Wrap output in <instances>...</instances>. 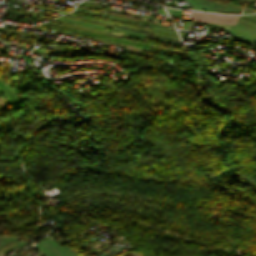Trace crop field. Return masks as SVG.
Returning a JSON list of instances; mask_svg holds the SVG:
<instances>
[{"instance_id":"obj_1","label":"crop field","mask_w":256,"mask_h":256,"mask_svg":"<svg viewBox=\"0 0 256 256\" xmlns=\"http://www.w3.org/2000/svg\"><path fill=\"white\" fill-rule=\"evenodd\" d=\"M237 17L192 11V19L217 24H234Z\"/></svg>"},{"instance_id":"obj_2","label":"crop field","mask_w":256,"mask_h":256,"mask_svg":"<svg viewBox=\"0 0 256 256\" xmlns=\"http://www.w3.org/2000/svg\"><path fill=\"white\" fill-rule=\"evenodd\" d=\"M48 23H49V24H53V23H50V22H48ZM49 24H47V25H49ZM53 25H56V24H53ZM53 25H51V26H53ZM57 26H59V25H57ZM57 26H54V27H57ZM62 27H64V26H62ZM57 28H61V27H57ZM66 28H68V27H66ZM66 28H61V29H65V30H69V31H73V32L81 33V34L89 33V34H93V35L100 36V37H105V38H111V39H117V40H123V41H128V42H130V40H126V39L114 38V37H107V36H103V35H99V34H94V33H90V32H85V31H82V32H85V33H82V32H78V31H81V30L74 31V30H76V29L70 30V29H72V28H70V29H66ZM89 34H85V35H89ZM93 35H89V36L96 37V36H93ZM100 37H96V38H99V39H100ZM102 39H103V40H108V41H114V42L124 43V42H122V41H116V40H110V39H104V38H102ZM128 42H125L124 44H126V45H132V46H135V47H141V48H148V47L142 46V45H139V44H144V45H148V46H149V44L140 43V42H134V41H132L133 43H139V44H133V43H128Z\"/></svg>"},{"instance_id":"obj_3","label":"crop field","mask_w":256,"mask_h":256,"mask_svg":"<svg viewBox=\"0 0 256 256\" xmlns=\"http://www.w3.org/2000/svg\"><path fill=\"white\" fill-rule=\"evenodd\" d=\"M54 20L65 22V23H69V24H72V25H78V26L84 27V28H89V29H94V30H99V31H105V30H100V29L92 28V27H89V26L77 24V23H74V22H70V21H66V20H62V19H58V18H56ZM105 32H107V31H105ZM113 33H115V34H122V35H128V36L137 37V38H141V39L144 38V36H142V35H138V34H135V33H132V32H126V31L114 30Z\"/></svg>"},{"instance_id":"obj_4","label":"crop field","mask_w":256,"mask_h":256,"mask_svg":"<svg viewBox=\"0 0 256 256\" xmlns=\"http://www.w3.org/2000/svg\"><path fill=\"white\" fill-rule=\"evenodd\" d=\"M72 14H76V15H80V16H84V17L96 19V20H99V21H102V22L115 23V22H112V21H106V20H102V19H98V18H94V17H90V16H86V15H82V14H78V13H74V12H72ZM116 24L131 26V25L122 24V23H118V22H116ZM131 27H135V28H138V29L147 30V29H145V28H140V27H136V26H133V25H132ZM148 31H149V30H148ZM151 32H153V31H151ZM155 33H157V32H155ZM159 34H161V33H159ZM163 35H164V34H163ZM168 35H169V34H168ZM171 36H173V35H171ZM176 37H177V36H176Z\"/></svg>"},{"instance_id":"obj_5","label":"crop field","mask_w":256,"mask_h":256,"mask_svg":"<svg viewBox=\"0 0 256 256\" xmlns=\"http://www.w3.org/2000/svg\"><path fill=\"white\" fill-rule=\"evenodd\" d=\"M0 84H1L3 87H5V88L11 93V95L14 97V99H15L17 102H19L18 99L14 96L13 92L4 84L3 81L0 80ZM7 90H6V91H7ZM8 91H7V92H8ZM9 92H8V93H9ZM10 93H9V96H10L11 100H12L14 103H17V102L13 99V97L10 95Z\"/></svg>"},{"instance_id":"obj_6","label":"crop field","mask_w":256,"mask_h":256,"mask_svg":"<svg viewBox=\"0 0 256 256\" xmlns=\"http://www.w3.org/2000/svg\"><path fill=\"white\" fill-rule=\"evenodd\" d=\"M154 30L160 31V32H164V33H169V34H173V35H177L176 32L174 31H170L167 29H163V28H159V27H153Z\"/></svg>"},{"instance_id":"obj_7","label":"crop field","mask_w":256,"mask_h":256,"mask_svg":"<svg viewBox=\"0 0 256 256\" xmlns=\"http://www.w3.org/2000/svg\"><path fill=\"white\" fill-rule=\"evenodd\" d=\"M62 17H67V18H71V19H76V20H81V21H85V22H90V21H87V20H84V19H78V18H73V17H69V16H62ZM90 23H93V22H90ZM95 24H97V23H95ZM99 25H101V24H99ZM103 26H105V25H103ZM107 27H111V26H107ZM111 28H113V27H111Z\"/></svg>"},{"instance_id":"obj_8","label":"crop field","mask_w":256,"mask_h":256,"mask_svg":"<svg viewBox=\"0 0 256 256\" xmlns=\"http://www.w3.org/2000/svg\"><path fill=\"white\" fill-rule=\"evenodd\" d=\"M16 244H18V243H17V242H14V243H11V244L7 245L6 247H4L3 249L0 250V253H1L2 251H4V250H6V249H8V248H10V247H12V246H14V245H16Z\"/></svg>"},{"instance_id":"obj_9","label":"crop field","mask_w":256,"mask_h":256,"mask_svg":"<svg viewBox=\"0 0 256 256\" xmlns=\"http://www.w3.org/2000/svg\"><path fill=\"white\" fill-rule=\"evenodd\" d=\"M79 8V7H78ZM83 9V8H82ZM87 10V9H86ZM89 11H91V10H89ZM93 12H95V11H93ZM99 13V12H98ZM101 14H105V13H101ZM105 15H109V14H105ZM109 16H113V17H115L114 15H109ZM118 17V16H117ZM118 18H122V17H118ZM124 19H126V18H124ZM133 21H135V20H133ZM136 22H140V21H136ZM145 23V22H144ZM149 24V23H148ZM151 25H153V24H151ZM156 26H159V25H156ZM175 31V30H174Z\"/></svg>"},{"instance_id":"obj_10","label":"crop field","mask_w":256,"mask_h":256,"mask_svg":"<svg viewBox=\"0 0 256 256\" xmlns=\"http://www.w3.org/2000/svg\"><path fill=\"white\" fill-rule=\"evenodd\" d=\"M14 12H18V13H22V14H26V15H30V16H34V17H36V15H32V14H28V13H23V12H19V11H15V10H13ZM39 17H41V16H39ZM45 18V17H44ZM48 19H50V18H48Z\"/></svg>"},{"instance_id":"obj_11","label":"crop field","mask_w":256,"mask_h":256,"mask_svg":"<svg viewBox=\"0 0 256 256\" xmlns=\"http://www.w3.org/2000/svg\"><path fill=\"white\" fill-rule=\"evenodd\" d=\"M240 18L245 19V20H248V21L253 22V23H256V21L251 20V19H248V18H245V17H243V16H240Z\"/></svg>"},{"instance_id":"obj_12","label":"crop field","mask_w":256,"mask_h":256,"mask_svg":"<svg viewBox=\"0 0 256 256\" xmlns=\"http://www.w3.org/2000/svg\"><path fill=\"white\" fill-rule=\"evenodd\" d=\"M84 3H89V4H93V5H98V6H102V7H107V6H103V5H99V4H95V3H90V2H86V1H83ZM109 8V7H107Z\"/></svg>"},{"instance_id":"obj_13","label":"crop field","mask_w":256,"mask_h":256,"mask_svg":"<svg viewBox=\"0 0 256 256\" xmlns=\"http://www.w3.org/2000/svg\"><path fill=\"white\" fill-rule=\"evenodd\" d=\"M1 89V88H0ZM2 90V89H1ZM2 92H3V90H2ZM3 94H4V96H5V98L7 99V97H6V95H5V93L3 92ZM7 101H8V99H7ZM10 104H11V102H10ZM12 105V104H11Z\"/></svg>"},{"instance_id":"obj_14","label":"crop field","mask_w":256,"mask_h":256,"mask_svg":"<svg viewBox=\"0 0 256 256\" xmlns=\"http://www.w3.org/2000/svg\"><path fill=\"white\" fill-rule=\"evenodd\" d=\"M65 24V23H64ZM66 25H69V24H66ZM69 26H72V25H69ZM76 27V26H75ZM89 30V29H88ZM94 31V30H93ZM99 32V31H98ZM103 33H105V32H103ZM107 34H109V33H107Z\"/></svg>"},{"instance_id":"obj_15","label":"crop field","mask_w":256,"mask_h":256,"mask_svg":"<svg viewBox=\"0 0 256 256\" xmlns=\"http://www.w3.org/2000/svg\"><path fill=\"white\" fill-rule=\"evenodd\" d=\"M1 86V85H0ZM2 87V86H1ZM3 88V87H2ZM4 89V88H3ZM5 90V89H4ZM6 92V91H5ZM6 94H7V92H6ZM7 96H8V94H7ZM8 98H9V96H8ZM10 100V99H9ZM11 101V100H10Z\"/></svg>"},{"instance_id":"obj_16","label":"crop field","mask_w":256,"mask_h":256,"mask_svg":"<svg viewBox=\"0 0 256 256\" xmlns=\"http://www.w3.org/2000/svg\"><path fill=\"white\" fill-rule=\"evenodd\" d=\"M51 9H53V8H51ZM53 10H58V9H53ZM59 11H62V10H59ZM67 12V11H66Z\"/></svg>"},{"instance_id":"obj_17","label":"crop field","mask_w":256,"mask_h":256,"mask_svg":"<svg viewBox=\"0 0 256 256\" xmlns=\"http://www.w3.org/2000/svg\"><path fill=\"white\" fill-rule=\"evenodd\" d=\"M65 26V25H64ZM78 29V28H77ZM83 30V29H82ZM87 31V30H86ZM104 35V34H103ZM107 36H109V35H107Z\"/></svg>"},{"instance_id":"obj_18","label":"crop field","mask_w":256,"mask_h":256,"mask_svg":"<svg viewBox=\"0 0 256 256\" xmlns=\"http://www.w3.org/2000/svg\"><path fill=\"white\" fill-rule=\"evenodd\" d=\"M254 6H256V3L254 4Z\"/></svg>"},{"instance_id":"obj_19","label":"crop field","mask_w":256,"mask_h":256,"mask_svg":"<svg viewBox=\"0 0 256 256\" xmlns=\"http://www.w3.org/2000/svg\"><path fill=\"white\" fill-rule=\"evenodd\" d=\"M37 256H39V254Z\"/></svg>"},{"instance_id":"obj_20","label":"crop field","mask_w":256,"mask_h":256,"mask_svg":"<svg viewBox=\"0 0 256 256\" xmlns=\"http://www.w3.org/2000/svg\"><path fill=\"white\" fill-rule=\"evenodd\" d=\"M252 1H254V0H252Z\"/></svg>"},{"instance_id":"obj_21","label":"crop field","mask_w":256,"mask_h":256,"mask_svg":"<svg viewBox=\"0 0 256 256\" xmlns=\"http://www.w3.org/2000/svg\"><path fill=\"white\" fill-rule=\"evenodd\" d=\"M220 3V2H219ZM241 8V7H240Z\"/></svg>"}]
</instances>
